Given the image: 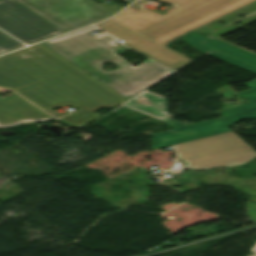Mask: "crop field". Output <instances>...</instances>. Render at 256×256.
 <instances>
[{"mask_svg": "<svg viewBox=\"0 0 256 256\" xmlns=\"http://www.w3.org/2000/svg\"><path fill=\"white\" fill-rule=\"evenodd\" d=\"M0 90H4V89H1V88H0ZM8 91H9V90H8Z\"/></svg>", "mask_w": 256, "mask_h": 256, "instance_id": "d9b57169", "label": "crop field"}, {"mask_svg": "<svg viewBox=\"0 0 256 256\" xmlns=\"http://www.w3.org/2000/svg\"><path fill=\"white\" fill-rule=\"evenodd\" d=\"M94 28L84 29L41 44L68 60L110 42L119 41L106 33L99 36L87 33Z\"/></svg>", "mask_w": 256, "mask_h": 256, "instance_id": "3316defc", "label": "crop field"}, {"mask_svg": "<svg viewBox=\"0 0 256 256\" xmlns=\"http://www.w3.org/2000/svg\"><path fill=\"white\" fill-rule=\"evenodd\" d=\"M199 43H201V44H203V45L205 44V42H204V41H199Z\"/></svg>", "mask_w": 256, "mask_h": 256, "instance_id": "5142ce71", "label": "crop field"}, {"mask_svg": "<svg viewBox=\"0 0 256 256\" xmlns=\"http://www.w3.org/2000/svg\"><path fill=\"white\" fill-rule=\"evenodd\" d=\"M163 123L175 129L153 134L151 150L229 131L231 126L223 117L189 126L171 119Z\"/></svg>", "mask_w": 256, "mask_h": 256, "instance_id": "e52e79f7", "label": "crop field"}, {"mask_svg": "<svg viewBox=\"0 0 256 256\" xmlns=\"http://www.w3.org/2000/svg\"><path fill=\"white\" fill-rule=\"evenodd\" d=\"M39 16L68 32L112 14L92 0H16ZM130 2L132 0H124ZM56 26V27H57Z\"/></svg>", "mask_w": 256, "mask_h": 256, "instance_id": "f4fd0767", "label": "crop field"}, {"mask_svg": "<svg viewBox=\"0 0 256 256\" xmlns=\"http://www.w3.org/2000/svg\"><path fill=\"white\" fill-rule=\"evenodd\" d=\"M175 148L178 160L187 162V165L175 170L176 173H181L183 169L205 170L222 165L229 168L256 156V151L233 132L179 145Z\"/></svg>", "mask_w": 256, "mask_h": 256, "instance_id": "34b2d1b8", "label": "crop field"}, {"mask_svg": "<svg viewBox=\"0 0 256 256\" xmlns=\"http://www.w3.org/2000/svg\"><path fill=\"white\" fill-rule=\"evenodd\" d=\"M53 120L20 96L0 98V128Z\"/></svg>", "mask_w": 256, "mask_h": 256, "instance_id": "28ad6ade", "label": "crop field"}, {"mask_svg": "<svg viewBox=\"0 0 256 256\" xmlns=\"http://www.w3.org/2000/svg\"><path fill=\"white\" fill-rule=\"evenodd\" d=\"M0 87L54 117L60 116L51 110L64 104L83 109L58 120L78 129L99 117L94 111L126 100L40 44L0 57Z\"/></svg>", "mask_w": 256, "mask_h": 256, "instance_id": "8a807250", "label": "crop field"}, {"mask_svg": "<svg viewBox=\"0 0 256 256\" xmlns=\"http://www.w3.org/2000/svg\"><path fill=\"white\" fill-rule=\"evenodd\" d=\"M123 106L132 108L161 121L171 117V114L167 113V98L148 91L128 101Z\"/></svg>", "mask_w": 256, "mask_h": 256, "instance_id": "d1516ede", "label": "crop field"}, {"mask_svg": "<svg viewBox=\"0 0 256 256\" xmlns=\"http://www.w3.org/2000/svg\"><path fill=\"white\" fill-rule=\"evenodd\" d=\"M181 38L206 54L225 60L227 62H230L239 67L256 73L255 54L249 53L216 39H210L195 31ZM198 40H205L206 45L203 46L199 44ZM244 84L249 86L250 90L235 95L247 99L249 100V102L219 113L231 125L245 119H256V80Z\"/></svg>", "mask_w": 256, "mask_h": 256, "instance_id": "412701ff", "label": "crop field"}, {"mask_svg": "<svg viewBox=\"0 0 256 256\" xmlns=\"http://www.w3.org/2000/svg\"><path fill=\"white\" fill-rule=\"evenodd\" d=\"M251 251L254 253L253 255L256 254V243L253 245V247L251 248Z\"/></svg>", "mask_w": 256, "mask_h": 256, "instance_id": "cbeb9de0", "label": "crop field"}, {"mask_svg": "<svg viewBox=\"0 0 256 256\" xmlns=\"http://www.w3.org/2000/svg\"><path fill=\"white\" fill-rule=\"evenodd\" d=\"M23 46L22 43L0 31V54Z\"/></svg>", "mask_w": 256, "mask_h": 256, "instance_id": "22f410ed", "label": "crop field"}, {"mask_svg": "<svg viewBox=\"0 0 256 256\" xmlns=\"http://www.w3.org/2000/svg\"><path fill=\"white\" fill-rule=\"evenodd\" d=\"M128 48L117 45L115 43H110L78 57L68 60L70 63L74 64L81 70L85 71L95 79L104 83L132 68L129 63L123 60L121 57L117 56ZM105 61H111L119 66V69L113 72H105L100 69V66Z\"/></svg>", "mask_w": 256, "mask_h": 256, "instance_id": "d8731c3e", "label": "crop field"}, {"mask_svg": "<svg viewBox=\"0 0 256 256\" xmlns=\"http://www.w3.org/2000/svg\"><path fill=\"white\" fill-rule=\"evenodd\" d=\"M177 7L162 16L148 10L126 9L96 26L126 41L124 45L176 70L192 61L165 46L254 0H160Z\"/></svg>", "mask_w": 256, "mask_h": 256, "instance_id": "ac0d7876", "label": "crop field"}, {"mask_svg": "<svg viewBox=\"0 0 256 256\" xmlns=\"http://www.w3.org/2000/svg\"><path fill=\"white\" fill-rule=\"evenodd\" d=\"M0 29L28 45L65 33L15 0H0Z\"/></svg>", "mask_w": 256, "mask_h": 256, "instance_id": "dd49c442", "label": "crop field"}, {"mask_svg": "<svg viewBox=\"0 0 256 256\" xmlns=\"http://www.w3.org/2000/svg\"><path fill=\"white\" fill-rule=\"evenodd\" d=\"M172 72L174 71L147 59L104 84L128 99Z\"/></svg>", "mask_w": 256, "mask_h": 256, "instance_id": "5a996713", "label": "crop field"}]
</instances>
